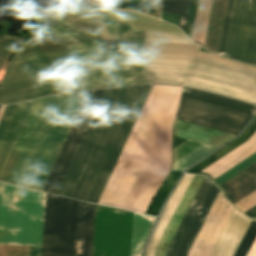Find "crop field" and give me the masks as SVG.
Returning a JSON list of instances; mask_svg holds the SVG:
<instances>
[{
  "mask_svg": "<svg viewBox=\"0 0 256 256\" xmlns=\"http://www.w3.org/2000/svg\"><path fill=\"white\" fill-rule=\"evenodd\" d=\"M151 86L121 89L72 198L98 202Z\"/></svg>",
  "mask_w": 256,
  "mask_h": 256,
  "instance_id": "5",
  "label": "crop field"
},
{
  "mask_svg": "<svg viewBox=\"0 0 256 256\" xmlns=\"http://www.w3.org/2000/svg\"><path fill=\"white\" fill-rule=\"evenodd\" d=\"M204 176L194 175L180 204L163 233L155 251V256H166L167 247L186 213ZM207 177H204L187 213L176 231L167 250V256H186L199 231L208 211L210 210L218 192Z\"/></svg>",
  "mask_w": 256,
  "mask_h": 256,
  "instance_id": "8",
  "label": "crop field"
},
{
  "mask_svg": "<svg viewBox=\"0 0 256 256\" xmlns=\"http://www.w3.org/2000/svg\"><path fill=\"white\" fill-rule=\"evenodd\" d=\"M233 204L256 189V162L219 186Z\"/></svg>",
  "mask_w": 256,
  "mask_h": 256,
  "instance_id": "18",
  "label": "crop field"
},
{
  "mask_svg": "<svg viewBox=\"0 0 256 256\" xmlns=\"http://www.w3.org/2000/svg\"><path fill=\"white\" fill-rule=\"evenodd\" d=\"M256 151V132L243 145L233 150L200 173L207 174L212 180Z\"/></svg>",
  "mask_w": 256,
  "mask_h": 256,
  "instance_id": "20",
  "label": "crop field"
},
{
  "mask_svg": "<svg viewBox=\"0 0 256 256\" xmlns=\"http://www.w3.org/2000/svg\"><path fill=\"white\" fill-rule=\"evenodd\" d=\"M78 201L48 194L41 256H74Z\"/></svg>",
  "mask_w": 256,
  "mask_h": 256,
  "instance_id": "11",
  "label": "crop field"
},
{
  "mask_svg": "<svg viewBox=\"0 0 256 256\" xmlns=\"http://www.w3.org/2000/svg\"><path fill=\"white\" fill-rule=\"evenodd\" d=\"M255 161H256V152L213 181L219 186Z\"/></svg>",
  "mask_w": 256,
  "mask_h": 256,
  "instance_id": "23",
  "label": "crop field"
},
{
  "mask_svg": "<svg viewBox=\"0 0 256 256\" xmlns=\"http://www.w3.org/2000/svg\"><path fill=\"white\" fill-rule=\"evenodd\" d=\"M121 88L109 90L88 91L79 112L69 130V133L60 149V152L50 170V173L42 187V191L54 193L76 151V154L56 192L58 195L70 197L86 164V161L93 149V146L100 134V131L107 119V116L114 104V101Z\"/></svg>",
  "mask_w": 256,
  "mask_h": 256,
  "instance_id": "6",
  "label": "crop field"
},
{
  "mask_svg": "<svg viewBox=\"0 0 256 256\" xmlns=\"http://www.w3.org/2000/svg\"><path fill=\"white\" fill-rule=\"evenodd\" d=\"M155 88H151L135 128ZM182 89L157 86L138 129H132L98 203L145 213L171 171L172 126Z\"/></svg>",
  "mask_w": 256,
  "mask_h": 256,
  "instance_id": "2",
  "label": "crop field"
},
{
  "mask_svg": "<svg viewBox=\"0 0 256 256\" xmlns=\"http://www.w3.org/2000/svg\"><path fill=\"white\" fill-rule=\"evenodd\" d=\"M124 81L122 54L106 48L14 60L0 85V103L115 87Z\"/></svg>",
  "mask_w": 256,
  "mask_h": 256,
  "instance_id": "3",
  "label": "crop field"
},
{
  "mask_svg": "<svg viewBox=\"0 0 256 256\" xmlns=\"http://www.w3.org/2000/svg\"><path fill=\"white\" fill-rule=\"evenodd\" d=\"M126 1H131V0H126Z\"/></svg>",
  "mask_w": 256,
  "mask_h": 256,
  "instance_id": "30",
  "label": "crop field"
},
{
  "mask_svg": "<svg viewBox=\"0 0 256 256\" xmlns=\"http://www.w3.org/2000/svg\"><path fill=\"white\" fill-rule=\"evenodd\" d=\"M92 5H102L104 4L105 0H84Z\"/></svg>",
  "mask_w": 256,
  "mask_h": 256,
  "instance_id": "28",
  "label": "crop field"
},
{
  "mask_svg": "<svg viewBox=\"0 0 256 256\" xmlns=\"http://www.w3.org/2000/svg\"><path fill=\"white\" fill-rule=\"evenodd\" d=\"M253 219H256V216Z\"/></svg>",
  "mask_w": 256,
  "mask_h": 256,
  "instance_id": "29",
  "label": "crop field"
},
{
  "mask_svg": "<svg viewBox=\"0 0 256 256\" xmlns=\"http://www.w3.org/2000/svg\"><path fill=\"white\" fill-rule=\"evenodd\" d=\"M85 94L47 98L8 182L41 189Z\"/></svg>",
  "mask_w": 256,
  "mask_h": 256,
  "instance_id": "4",
  "label": "crop field"
},
{
  "mask_svg": "<svg viewBox=\"0 0 256 256\" xmlns=\"http://www.w3.org/2000/svg\"><path fill=\"white\" fill-rule=\"evenodd\" d=\"M155 217L134 213L131 256H141L143 244Z\"/></svg>",
  "mask_w": 256,
  "mask_h": 256,
  "instance_id": "21",
  "label": "crop field"
},
{
  "mask_svg": "<svg viewBox=\"0 0 256 256\" xmlns=\"http://www.w3.org/2000/svg\"><path fill=\"white\" fill-rule=\"evenodd\" d=\"M183 3L184 0H162V11L181 16Z\"/></svg>",
  "mask_w": 256,
  "mask_h": 256,
  "instance_id": "26",
  "label": "crop field"
},
{
  "mask_svg": "<svg viewBox=\"0 0 256 256\" xmlns=\"http://www.w3.org/2000/svg\"><path fill=\"white\" fill-rule=\"evenodd\" d=\"M189 5H190V0H185L182 19H181V25H180V28L183 32L185 31ZM197 5H198V0H191L188 21H187V26L185 31V34L189 39L192 38ZM211 5H212V0H199L192 41L195 40L202 44L205 43Z\"/></svg>",
  "mask_w": 256,
  "mask_h": 256,
  "instance_id": "13",
  "label": "crop field"
},
{
  "mask_svg": "<svg viewBox=\"0 0 256 256\" xmlns=\"http://www.w3.org/2000/svg\"><path fill=\"white\" fill-rule=\"evenodd\" d=\"M46 193L0 183V244L41 245Z\"/></svg>",
  "mask_w": 256,
  "mask_h": 256,
  "instance_id": "7",
  "label": "crop field"
},
{
  "mask_svg": "<svg viewBox=\"0 0 256 256\" xmlns=\"http://www.w3.org/2000/svg\"><path fill=\"white\" fill-rule=\"evenodd\" d=\"M95 205L79 201L75 256H91Z\"/></svg>",
  "mask_w": 256,
  "mask_h": 256,
  "instance_id": "17",
  "label": "crop field"
},
{
  "mask_svg": "<svg viewBox=\"0 0 256 256\" xmlns=\"http://www.w3.org/2000/svg\"><path fill=\"white\" fill-rule=\"evenodd\" d=\"M193 175H185L180 182L179 186L175 190L169 202L166 204L161 218L149 240L147 245L146 255L145 256H154L155 247L164 232L170 218L172 217L177 205L179 204L185 190L187 189Z\"/></svg>",
  "mask_w": 256,
  "mask_h": 256,
  "instance_id": "19",
  "label": "crop field"
},
{
  "mask_svg": "<svg viewBox=\"0 0 256 256\" xmlns=\"http://www.w3.org/2000/svg\"><path fill=\"white\" fill-rule=\"evenodd\" d=\"M219 56L256 65V0H229Z\"/></svg>",
  "mask_w": 256,
  "mask_h": 256,
  "instance_id": "10",
  "label": "crop field"
},
{
  "mask_svg": "<svg viewBox=\"0 0 256 256\" xmlns=\"http://www.w3.org/2000/svg\"><path fill=\"white\" fill-rule=\"evenodd\" d=\"M255 112L253 105L184 87L176 118L237 135Z\"/></svg>",
  "mask_w": 256,
  "mask_h": 256,
  "instance_id": "9",
  "label": "crop field"
},
{
  "mask_svg": "<svg viewBox=\"0 0 256 256\" xmlns=\"http://www.w3.org/2000/svg\"><path fill=\"white\" fill-rule=\"evenodd\" d=\"M45 99H46V97L43 98V100L41 98V99H38V101L36 99V100L22 102V103H18V104H14V105H9V106L5 105V107H4V105H0V113L3 109V107H4V109H3V111L0 115V121L3 117V115H4V112L7 108V106H8V108L5 112V115H4V117L1 121V124H0V157L9 158L10 155H11V152H12V150H13V148H14V146H15V144H16V142H17V140H18V138H19V136H20V134H21V132L24 128V125H25V123H26V121H27V119H28L36 101H37L32 113L29 117V120H28V122H27V124H26L20 138H19V141H18V143H17V145H16V147H15V149H14V151H13V153H12L10 159H9V161H8V159L0 158V175H1L6 163L8 161V163H7L5 169H4V171H3V173L0 177L1 181L4 180L6 174H7L8 170L11 166V163H12V161H13V159H14V157H15L18 149H19V146H20V144H21V142H22V140H23V138L26 134V131H27V129H28L33 117H34V114H35V112H36V110H37V108H38V106H39V104L42 100V102H41V104H40V106H39V108H38V110L35 114V117H34L32 123H31L28 131H27V134H26V136H25V138H24V140H23V142L20 146V149H19V151H18V153H17V155H16V157H15L13 163H12V166H11V168H10V170H9L5 180H4L6 182L8 181V179H9V177H10L12 171H13V168H14L17 160H18V157H19V155H20V153H21V151L24 147V144H25V142H26V140L29 136V133H30V131H31V129H32L34 123H35V120H36V118H37V116L40 112V109H41V107H42V105L45 101Z\"/></svg>",
  "mask_w": 256,
  "mask_h": 256,
  "instance_id": "12",
  "label": "crop field"
},
{
  "mask_svg": "<svg viewBox=\"0 0 256 256\" xmlns=\"http://www.w3.org/2000/svg\"><path fill=\"white\" fill-rule=\"evenodd\" d=\"M255 204H256V190L234 205L238 209H240L241 211L244 212L247 209H249L250 207L254 206ZM244 213L247 214L251 218L254 217L256 215V205Z\"/></svg>",
  "mask_w": 256,
  "mask_h": 256,
  "instance_id": "24",
  "label": "crop field"
},
{
  "mask_svg": "<svg viewBox=\"0 0 256 256\" xmlns=\"http://www.w3.org/2000/svg\"><path fill=\"white\" fill-rule=\"evenodd\" d=\"M250 222L234 208L210 256H233Z\"/></svg>",
  "mask_w": 256,
  "mask_h": 256,
  "instance_id": "14",
  "label": "crop field"
},
{
  "mask_svg": "<svg viewBox=\"0 0 256 256\" xmlns=\"http://www.w3.org/2000/svg\"><path fill=\"white\" fill-rule=\"evenodd\" d=\"M41 246H30L29 256H40Z\"/></svg>",
  "mask_w": 256,
  "mask_h": 256,
  "instance_id": "27",
  "label": "crop field"
},
{
  "mask_svg": "<svg viewBox=\"0 0 256 256\" xmlns=\"http://www.w3.org/2000/svg\"><path fill=\"white\" fill-rule=\"evenodd\" d=\"M39 1L57 10L87 7L79 0ZM26 2L39 33L47 37L75 33L79 36L47 38L37 33L19 48L12 60L106 47L123 53L126 81L120 86L146 84V81L187 85L256 102V68L201 51L196 53V47L179 34L134 33L122 11H94L89 8L57 11L40 2ZM32 4L66 20L98 43L66 21L33 5L44 29L67 26L75 33L67 27L43 30Z\"/></svg>",
  "mask_w": 256,
  "mask_h": 256,
  "instance_id": "1",
  "label": "crop field"
},
{
  "mask_svg": "<svg viewBox=\"0 0 256 256\" xmlns=\"http://www.w3.org/2000/svg\"><path fill=\"white\" fill-rule=\"evenodd\" d=\"M255 131H256V119L244 131V133L238 139H236L235 141H233L232 143H230L229 145H227L226 147H224L220 151L216 152L212 156L208 157L207 159H205L201 163L197 164L192 169H190L188 172H192V173L200 172L201 170H203L207 166L211 165L212 163H214L215 161H217L218 159H220L221 157H223L224 155H226L227 153H229L233 149L237 148L238 146H240L241 144L246 142Z\"/></svg>",
  "mask_w": 256,
  "mask_h": 256,
  "instance_id": "22",
  "label": "crop field"
},
{
  "mask_svg": "<svg viewBox=\"0 0 256 256\" xmlns=\"http://www.w3.org/2000/svg\"><path fill=\"white\" fill-rule=\"evenodd\" d=\"M215 149L216 148L203 145L198 149H196L195 151L191 152L190 154L186 155L185 157L181 158L177 162L173 163L172 170L182 172L184 169L191 166L192 164H194L204 156L208 155ZM174 171H171V173L168 175L165 184L163 185L162 189L159 191L154 203L152 204L149 211L147 212L148 215H154V216L157 215L162 203L165 201L172 187L174 186L177 179L181 175L180 172H174Z\"/></svg>",
  "mask_w": 256,
  "mask_h": 256,
  "instance_id": "15",
  "label": "crop field"
},
{
  "mask_svg": "<svg viewBox=\"0 0 256 256\" xmlns=\"http://www.w3.org/2000/svg\"><path fill=\"white\" fill-rule=\"evenodd\" d=\"M173 132L175 136L216 148L220 147L235 136L176 119L174 121Z\"/></svg>",
  "mask_w": 256,
  "mask_h": 256,
  "instance_id": "16",
  "label": "crop field"
},
{
  "mask_svg": "<svg viewBox=\"0 0 256 256\" xmlns=\"http://www.w3.org/2000/svg\"><path fill=\"white\" fill-rule=\"evenodd\" d=\"M256 237V222H252L235 256H246Z\"/></svg>",
  "mask_w": 256,
  "mask_h": 256,
  "instance_id": "25",
  "label": "crop field"
}]
</instances>
